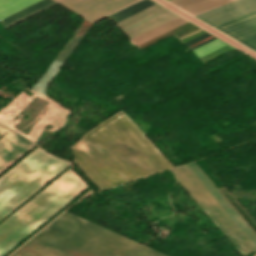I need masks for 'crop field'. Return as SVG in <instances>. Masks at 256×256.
<instances>
[{
    "instance_id": "obj_1",
    "label": "crop field",
    "mask_w": 256,
    "mask_h": 256,
    "mask_svg": "<svg viewBox=\"0 0 256 256\" xmlns=\"http://www.w3.org/2000/svg\"><path fill=\"white\" fill-rule=\"evenodd\" d=\"M70 164L38 148L13 167L0 178V219ZM87 188L67 170L0 224V256Z\"/></svg>"
},
{
    "instance_id": "obj_2",
    "label": "crop field",
    "mask_w": 256,
    "mask_h": 256,
    "mask_svg": "<svg viewBox=\"0 0 256 256\" xmlns=\"http://www.w3.org/2000/svg\"><path fill=\"white\" fill-rule=\"evenodd\" d=\"M74 163L101 190L174 166L122 112L71 146Z\"/></svg>"
},
{
    "instance_id": "obj_3",
    "label": "crop field",
    "mask_w": 256,
    "mask_h": 256,
    "mask_svg": "<svg viewBox=\"0 0 256 256\" xmlns=\"http://www.w3.org/2000/svg\"><path fill=\"white\" fill-rule=\"evenodd\" d=\"M45 229L105 256H166L68 211ZM45 229L11 256H103Z\"/></svg>"
},
{
    "instance_id": "obj_4",
    "label": "crop field",
    "mask_w": 256,
    "mask_h": 256,
    "mask_svg": "<svg viewBox=\"0 0 256 256\" xmlns=\"http://www.w3.org/2000/svg\"><path fill=\"white\" fill-rule=\"evenodd\" d=\"M186 167L256 248V233L209 179L204 171L198 166V164L194 162L186 165ZM186 167L181 166L176 169H172L171 171L242 254L255 250L253 245L247 240V238L241 233V231L235 226V224L229 219V217L223 212V210L217 205V203L211 198V196L205 191Z\"/></svg>"
},
{
    "instance_id": "obj_5",
    "label": "crop field",
    "mask_w": 256,
    "mask_h": 256,
    "mask_svg": "<svg viewBox=\"0 0 256 256\" xmlns=\"http://www.w3.org/2000/svg\"><path fill=\"white\" fill-rule=\"evenodd\" d=\"M175 17L173 13L155 4L117 24L133 38Z\"/></svg>"
},
{
    "instance_id": "obj_6",
    "label": "crop field",
    "mask_w": 256,
    "mask_h": 256,
    "mask_svg": "<svg viewBox=\"0 0 256 256\" xmlns=\"http://www.w3.org/2000/svg\"><path fill=\"white\" fill-rule=\"evenodd\" d=\"M73 11L96 20L138 0H57ZM105 17V16H104ZM90 20V21H91Z\"/></svg>"
},
{
    "instance_id": "obj_7",
    "label": "crop field",
    "mask_w": 256,
    "mask_h": 256,
    "mask_svg": "<svg viewBox=\"0 0 256 256\" xmlns=\"http://www.w3.org/2000/svg\"><path fill=\"white\" fill-rule=\"evenodd\" d=\"M0 173L29 151L33 145L14 131L0 125Z\"/></svg>"
},
{
    "instance_id": "obj_8",
    "label": "crop field",
    "mask_w": 256,
    "mask_h": 256,
    "mask_svg": "<svg viewBox=\"0 0 256 256\" xmlns=\"http://www.w3.org/2000/svg\"><path fill=\"white\" fill-rule=\"evenodd\" d=\"M214 27L238 41L254 36L256 35V11ZM240 42L256 51V36Z\"/></svg>"
},
{
    "instance_id": "obj_9",
    "label": "crop field",
    "mask_w": 256,
    "mask_h": 256,
    "mask_svg": "<svg viewBox=\"0 0 256 256\" xmlns=\"http://www.w3.org/2000/svg\"><path fill=\"white\" fill-rule=\"evenodd\" d=\"M254 10H256V0H238L196 17L214 26Z\"/></svg>"
},
{
    "instance_id": "obj_10",
    "label": "crop field",
    "mask_w": 256,
    "mask_h": 256,
    "mask_svg": "<svg viewBox=\"0 0 256 256\" xmlns=\"http://www.w3.org/2000/svg\"><path fill=\"white\" fill-rule=\"evenodd\" d=\"M155 2L163 5L164 7L170 9L171 11L177 13L178 15L186 18L187 20L193 22L194 24L200 26L201 28L207 30L208 32L214 34L215 36L221 38L222 40L228 42L229 44L235 46L236 48L242 50L243 52L249 54L250 56L256 58V53H254L253 51L247 49L246 47L240 45L239 43L235 42L234 40L228 38L227 36L221 34L220 32L214 30L213 28L207 26L206 24L202 23L201 21L195 19L194 17L188 15L187 13L181 11L180 9L174 7L173 5L169 4L168 2L164 1V0H154Z\"/></svg>"
},
{
    "instance_id": "obj_11",
    "label": "crop field",
    "mask_w": 256,
    "mask_h": 256,
    "mask_svg": "<svg viewBox=\"0 0 256 256\" xmlns=\"http://www.w3.org/2000/svg\"><path fill=\"white\" fill-rule=\"evenodd\" d=\"M224 45H226V44L223 43L222 41L216 39V40H214V41H212L210 43H207V44H205V45H203L201 47H198V48L192 50V52L198 58H200V57H202V56H204V55H206V54H208V53H210V52H212V51H214V50H216V49H218V48H220V47H222ZM233 49L234 48L226 45V46H224V47H222V48H220V49H218V50H216V51H214V52H212V53H210V54H208V55H206V56H204V57H202L200 59L204 63H206V62H208V61H210L212 59H215V58H217V57H219V56H221V55H223V54H225V53H227V52H229V51H231Z\"/></svg>"
},
{
    "instance_id": "obj_12",
    "label": "crop field",
    "mask_w": 256,
    "mask_h": 256,
    "mask_svg": "<svg viewBox=\"0 0 256 256\" xmlns=\"http://www.w3.org/2000/svg\"><path fill=\"white\" fill-rule=\"evenodd\" d=\"M54 3H56V2L53 1V0H41V1L29 6L27 8H25V9L15 13V14L1 20L0 22L3 25H5L6 27H8V26H10V25H12V24H14V23L32 15V14L36 13V12L54 4Z\"/></svg>"
},
{
    "instance_id": "obj_13",
    "label": "crop field",
    "mask_w": 256,
    "mask_h": 256,
    "mask_svg": "<svg viewBox=\"0 0 256 256\" xmlns=\"http://www.w3.org/2000/svg\"><path fill=\"white\" fill-rule=\"evenodd\" d=\"M39 0H0V20Z\"/></svg>"
},
{
    "instance_id": "obj_14",
    "label": "crop field",
    "mask_w": 256,
    "mask_h": 256,
    "mask_svg": "<svg viewBox=\"0 0 256 256\" xmlns=\"http://www.w3.org/2000/svg\"><path fill=\"white\" fill-rule=\"evenodd\" d=\"M185 22H187V21L177 17V18H175V19H173V20H171V21H169V22H167V23H165V24H163V25H161V26H159V27H157V28H155V29L137 37V38H135V39H133V41L137 45H139V44H141V43H143V42H145V41H147V40H149L153 37H156V36L166 32L170 29H173V28H175V27H177V26H179V25H181Z\"/></svg>"
},
{
    "instance_id": "obj_15",
    "label": "crop field",
    "mask_w": 256,
    "mask_h": 256,
    "mask_svg": "<svg viewBox=\"0 0 256 256\" xmlns=\"http://www.w3.org/2000/svg\"><path fill=\"white\" fill-rule=\"evenodd\" d=\"M155 3L149 1V0H141L111 16H109L110 19H112L115 23L153 5Z\"/></svg>"
},
{
    "instance_id": "obj_16",
    "label": "crop field",
    "mask_w": 256,
    "mask_h": 256,
    "mask_svg": "<svg viewBox=\"0 0 256 256\" xmlns=\"http://www.w3.org/2000/svg\"><path fill=\"white\" fill-rule=\"evenodd\" d=\"M233 1L235 0H208L192 7L186 8L184 10L196 16L198 14L204 13L206 11L212 10Z\"/></svg>"
},
{
    "instance_id": "obj_17",
    "label": "crop field",
    "mask_w": 256,
    "mask_h": 256,
    "mask_svg": "<svg viewBox=\"0 0 256 256\" xmlns=\"http://www.w3.org/2000/svg\"><path fill=\"white\" fill-rule=\"evenodd\" d=\"M205 0H172L171 3L175 4L176 6L184 9L186 7L192 6L194 4L200 3Z\"/></svg>"
},
{
    "instance_id": "obj_18",
    "label": "crop field",
    "mask_w": 256,
    "mask_h": 256,
    "mask_svg": "<svg viewBox=\"0 0 256 256\" xmlns=\"http://www.w3.org/2000/svg\"><path fill=\"white\" fill-rule=\"evenodd\" d=\"M209 36H211V35L205 33V34H203V35H201V36H199L197 38H194V39L184 43V45H186L187 47L191 46V45H193V44H195V43H197V42H199V41H201V40H203V39H205V38H207Z\"/></svg>"
},
{
    "instance_id": "obj_19",
    "label": "crop field",
    "mask_w": 256,
    "mask_h": 256,
    "mask_svg": "<svg viewBox=\"0 0 256 256\" xmlns=\"http://www.w3.org/2000/svg\"><path fill=\"white\" fill-rule=\"evenodd\" d=\"M214 39H216V38L213 37V38H211V39H209V40H207V41H205V42H203V43H200V44H198V45H196V46L190 48V50H192V49H194V48H196V47H198V46H201V45H203V44H205V43H207V42H210V41H212V40H214Z\"/></svg>"
},
{
    "instance_id": "obj_20",
    "label": "crop field",
    "mask_w": 256,
    "mask_h": 256,
    "mask_svg": "<svg viewBox=\"0 0 256 256\" xmlns=\"http://www.w3.org/2000/svg\"><path fill=\"white\" fill-rule=\"evenodd\" d=\"M168 1H170V0H168Z\"/></svg>"
}]
</instances>
